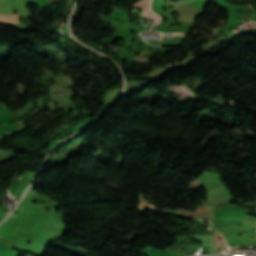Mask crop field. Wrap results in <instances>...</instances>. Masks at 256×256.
Returning a JSON list of instances; mask_svg holds the SVG:
<instances>
[{
	"instance_id": "obj_1",
	"label": "crop field",
	"mask_w": 256,
	"mask_h": 256,
	"mask_svg": "<svg viewBox=\"0 0 256 256\" xmlns=\"http://www.w3.org/2000/svg\"><path fill=\"white\" fill-rule=\"evenodd\" d=\"M14 218H15V216H14ZM15 220H16V218H15ZM17 221V220H16Z\"/></svg>"
}]
</instances>
